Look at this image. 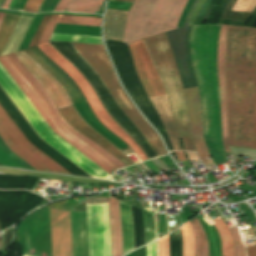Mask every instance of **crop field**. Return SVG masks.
<instances>
[{
  "label": "crop field",
  "mask_w": 256,
  "mask_h": 256,
  "mask_svg": "<svg viewBox=\"0 0 256 256\" xmlns=\"http://www.w3.org/2000/svg\"><path fill=\"white\" fill-rule=\"evenodd\" d=\"M10 2H11V0H5L1 8L7 9Z\"/></svg>",
  "instance_id": "obj_37"
},
{
  "label": "crop field",
  "mask_w": 256,
  "mask_h": 256,
  "mask_svg": "<svg viewBox=\"0 0 256 256\" xmlns=\"http://www.w3.org/2000/svg\"><path fill=\"white\" fill-rule=\"evenodd\" d=\"M144 40L168 87L170 101L185 150L194 151L188 127L184 92L167 38L163 33Z\"/></svg>",
  "instance_id": "obj_7"
},
{
  "label": "crop field",
  "mask_w": 256,
  "mask_h": 256,
  "mask_svg": "<svg viewBox=\"0 0 256 256\" xmlns=\"http://www.w3.org/2000/svg\"><path fill=\"white\" fill-rule=\"evenodd\" d=\"M53 256H72L70 212L49 208Z\"/></svg>",
  "instance_id": "obj_13"
},
{
  "label": "crop field",
  "mask_w": 256,
  "mask_h": 256,
  "mask_svg": "<svg viewBox=\"0 0 256 256\" xmlns=\"http://www.w3.org/2000/svg\"><path fill=\"white\" fill-rule=\"evenodd\" d=\"M181 231L183 236L184 256H194L195 241L190 223L181 227Z\"/></svg>",
  "instance_id": "obj_25"
},
{
  "label": "crop field",
  "mask_w": 256,
  "mask_h": 256,
  "mask_svg": "<svg viewBox=\"0 0 256 256\" xmlns=\"http://www.w3.org/2000/svg\"><path fill=\"white\" fill-rule=\"evenodd\" d=\"M133 44H134L135 49L142 61L143 66H144L153 86H154V89L156 92V97L168 95L166 85H165V83H164V81H163L147 47H146L144 40L143 39L139 40ZM133 44H129L128 46L131 50L134 65L138 72L141 83H142L145 91L147 92L149 98L155 97L154 89L148 79V76L141 64V61L134 49ZM150 100L153 103V105H154V107H155V109H156L168 135H169L173 149L174 150H184L183 146H182L181 139H180L179 131L176 127V124H175V121H174V118H173V115L171 112L168 96L153 98Z\"/></svg>",
  "instance_id": "obj_6"
},
{
  "label": "crop field",
  "mask_w": 256,
  "mask_h": 256,
  "mask_svg": "<svg viewBox=\"0 0 256 256\" xmlns=\"http://www.w3.org/2000/svg\"><path fill=\"white\" fill-rule=\"evenodd\" d=\"M175 153L178 156L180 161L187 159L186 156L184 155V152H175Z\"/></svg>",
  "instance_id": "obj_36"
},
{
  "label": "crop field",
  "mask_w": 256,
  "mask_h": 256,
  "mask_svg": "<svg viewBox=\"0 0 256 256\" xmlns=\"http://www.w3.org/2000/svg\"><path fill=\"white\" fill-rule=\"evenodd\" d=\"M128 12L107 9L104 21V36L122 41Z\"/></svg>",
  "instance_id": "obj_17"
},
{
  "label": "crop field",
  "mask_w": 256,
  "mask_h": 256,
  "mask_svg": "<svg viewBox=\"0 0 256 256\" xmlns=\"http://www.w3.org/2000/svg\"><path fill=\"white\" fill-rule=\"evenodd\" d=\"M73 45L87 60V62L95 69V71L98 73V75L101 77V79L109 89L117 104L143 133V135L153 147L157 156L165 154L166 151L161 143L159 136L155 133L151 126L141 117L132 102L129 100L127 95L120 87L104 46L77 43H73Z\"/></svg>",
  "instance_id": "obj_4"
},
{
  "label": "crop field",
  "mask_w": 256,
  "mask_h": 256,
  "mask_svg": "<svg viewBox=\"0 0 256 256\" xmlns=\"http://www.w3.org/2000/svg\"><path fill=\"white\" fill-rule=\"evenodd\" d=\"M158 256H169L168 235L158 240Z\"/></svg>",
  "instance_id": "obj_27"
},
{
  "label": "crop field",
  "mask_w": 256,
  "mask_h": 256,
  "mask_svg": "<svg viewBox=\"0 0 256 256\" xmlns=\"http://www.w3.org/2000/svg\"><path fill=\"white\" fill-rule=\"evenodd\" d=\"M226 83L229 146L256 148V27L228 25Z\"/></svg>",
  "instance_id": "obj_1"
},
{
  "label": "crop field",
  "mask_w": 256,
  "mask_h": 256,
  "mask_svg": "<svg viewBox=\"0 0 256 256\" xmlns=\"http://www.w3.org/2000/svg\"><path fill=\"white\" fill-rule=\"evenodd\" d=\"M0 63L56 134H58L60 137H62L64 140H66L68 143H70L72 146H74L76 149H78L80 152H82L84 155H86L108 173L111 174L113 170L118 168L104 156L95 151L93 148H91L79 138L71 134L59 122V120L53 114L48 102L43 97L42 93L29 80V78L13 63L9 55L0 57Z\"/></svg>",
  "instance_id": "obj_5"
},
{
  "label": "crop field",
  "mask_w": 256,
  "mask_h": 256,
  "mask_svg": "<svg viewBox=\"0 0 256 256\" xmlns=\"http://www.w3.org/2000/svg\"><path fill=\"white\" fill-rule=\"evenodd\" d=\"M188 0H135L128 14L123 41L175 29Z\"/></svg>",
  "instance_id": "obj_2"
},
{
  "label": "crop field",
  "mask_w": 256,
  "mask_h": 256,
  "mask_svg": "<svg viewBox=\"0 0 256 256\" xmlns=\"http://www.w3.org/2000/svg\"><path fill=\"white\" fill-rule=\"evenodd\" d=\"M109 218L112 239V256H122V230L118 201L109 197Z\"/></svg>",
  "instance_id": "obj_19"
},
{
  "label": "crop field",
  "mask_w": 256,
  "mask_h": 256,
  "mask_svg": "<svg viewBox=\"0 0 256 256\" xmlns=\"http://www.w3.org/2000/svg\"><path fill=\"white\" fill-rule=\"evenodd\" d=\"M43 0H28L23 11L37 13Z\"/></svg>",
  "instance_id": "obj_29"
},
{
  "label": "crop field",
  "mask_w": 256,
  "mask_h": 256,
  "mask_svg": "<svg viewBox=\"0 0 256 256\" xmlns=\"http://www.w3.org/2000/svg\"><path fill=\"white\" fill-rule=\"evenodd\" d=\"M4 16H5L4 13H0V24H1V22H2V20H3V18H4Z\"/></svg>",
  "instance_id": "obj_39"
},
{
  "label": "crop field",
  "mask_w": 256,
  "mask_h": 256,
  "mask_svg": "<svg viewBox=\"0 0 256 256\" xmlns=\"http://www.w3.org/2000/svg\"><path fill=\"white\" fill-rule=\"evenodd\" d=\"M26 52L32 56L37 63L45 68L66 90L72 103L85 100L77 85L59 66L44 55L37 46L26 49Z\"/></svg>",
  "instance_id": "obj_14"
},
{
  "label": "crop field",
  "mask_w": 256,
  "mask_h": 256,
  "mask_svg": "<svg viewBox=\"0 0 256 256\" xmlns=\"http://www.w3.org/2000/svg\"><path fill=\"white\" fill-rule=\"evenodd\" d=\"M60 0H52L47 11H53L55 6L57 5V3L59 2Z\"/></svg>",
  "instance_id": "obj_34"
},
{
  "label": "crop field",
  "mask_w": 256,
  "mask_h": 256,
  "mask_svg": "<svg viewBox=\"0 0 256 256\" xmlns=\"http://www.w3.org/2000/svg\"><path fill=\"white\" fill-rule=\"evenodd\" d=\"M0 137L6 145L37 170L70 174L30 144L0 106Z\"/></svg>",
  "instance_id": "obj_11"
},
{
  "label": "crop field",
  "mask_w": 256,
  "mask_h": 256,
  "mask_svg": "<svg viewBox=\"0 0 256 256\" xmlns=\"http://www.w3.org/2000/svg\"><path fill=\"white\" fill-rule=\"evenodd\" d=\"M235 244V256H245V248L238 228L230 229Z\"/></svg>",
  "instance_id": "obj_26"
},
{
  "label": "crop field",
  "mask_w": 256,
  "mask_h": 256,
  "mask_svg": "<svg viewBox=\"0 0 256 256\" xmlns=\"http://www.w3.org/2000/svg\"><path fill=\"white\" fill-rule=\"evenodd\" d=\"M227 25L221 26L219 48H218V66H219V86L222 111V131L223 144L226 152L230 153L227 143V118H226V85H225V44H226Z\"/></svg>",
  "instance_id": "obj_16"
},
{
  "label": "crop field",
  "mask_w": 256,
  "mask_h": 256,
  "mask_svg": "<svg viewBox=\"0 0 256 256\" xmlns=\"http://www.w3.org/2000/svg\"><path fill=\"white\" fill-rule=\"evenodd\" d=\"M113 1H121V2H129V3L133 2V0H113Z\"/></svg>",
  "instance_id": "obj_38"
},
{
  "label": "crop field",
  "mask_w": 256,
  "mask_h": 256,
  "mask_svg": "<svg viewBox=\"0 0 256 256\" xmlns=\"http://www.w3.org/2000/svg\"><path fill=\"white\" fill-rule=\"evenodd\" d=\"M27 0H13L9 9L22 11Z\"/></svg>",
  "instance_id": "obj_30"
},
{
  "label": "crop field",
  "mask_w": 256,
  "mask_h": 256,
  "mask_svg": "<svg viewBox=\"0 0 256 256\" xmlns=\"http://www.w3.org/2000/svg\"><path fill=\"white\" fill-rule=\"evenodd\" d=\"M247 256H256V244L246 247Z\"/></svg>",
  "instance_id": "obj_33"
},
{
  "label": "crop field",
  "mask_w": 256,
  "mask_h": 256,
  "mask_svg": "<svg viewBox=\"0 0 256 256\" xmlns=\"http://www.w3.org/2000/svg\"><path fill=\"white\" fill-rule=\"evenodd\" d=\"M104 0H72L66 11L96 13Z\"/></svg>",
  "instance_id": "obj_20"
},
{
  "label": "crop field",
  "mask_w": 256,
  "mask_h": 256,
  "mask_svg": "<svg viewBox=\"0 0 256 256\" xmlns=\"http://www.w3.org/2000/svg\"><path fill=\"white\" fill-rule=\"evenodd\" d=\"M50 1L51 0H44L38 12L45 11Z\"/></svg>",
  "instance_id": "obj_35"
},
{
  "label": "crop field",
  "mask_w": 256,
  "mask_h": 256,
  "mask_svg": "<svg viewBox=\"0 0 256 256\" xmlns=\"http://www.w3.org/2000/svg\"><path fill=\"white\" fill-rule=\"evenodd\" d=\"M0 85L27 118L40 137L92 177L111 179V175L56 135L0 64Z\"/></svg>",
  "instance_id": "obj_3"
},
{
  "label": "crop field",
  "mask_w": 256,
  "mask_h": 256,
  "mask_svg": "<svg viewBox=\"0 0 256 256\" xmlns=\"http://www.w3.org/2000/svg\"><path fill=\"white\" fill-rule=\"evenodd\" d=\"M10 57L12 58V60L14 61V63L37 85V87L41 90V92L43 93L44 97L47 99V101L49 102L50 106L52 107L54 113L56 114L57 118L60 120V122L74 135H76L77 137H79L81 140H83L84 142H86L88 145H90L91 147H93L95 150H97L98 152H100L102 155H104L106 158H108L110 161H112L116 166H118L119 168H122L126 165H124L122 162H120L119 160H117L114 156H112L110 153H108L107 151H105L104 149H102L101 147H99L97 144H95L94 142H92L91 140H89L88 138L84 137L82 134H80L79 132H77L73 127H71L63 118V116L60 114V112L58 111V109L56 108V106L54 105L52 99L50 98V96L48 95L47 91L42 87V85L30 74V72L19 62V60L16 58V56L14 55V53L9 54Z\"/></svg>",
  "instance_id": "obj_15"
},
{
  "label": "crop field",
  "mask_w": 256,
  "mask_h": 256,
  "mask_svg": "<svg viewBox=\"0 0 256 256\" xmlns=\"http://www.w3.org/2000/svg\"><path fill=\"white\" fill-rule=\"evenodd\" d=\"M147 256H157V240L146 245Z\"/></svg>",
  "instance_id": "obj_31"
},
{
  "label": "crop field",
  "mask_w": 256,
  "mask_h": 256,
  "mask_svg": "<svg viewBox=\"0 0 256 256\" xmlns=\"http://www.w3.org/2000/svg\"><path fill=\"white\" fill-rule=\"evenodd\" d=\"M20 62L31 72V74L44 86L49 95L55 102L58 109L71 105V102L60 84L40 67L24 50L15 52ZM66 121L72 125L80 133L96 142L102 148L110 152L116 158L125 164H133V162L115 148L109 141L105 140L98 133L92 130L77 114L73 106L59 110Z\"/></svg>",
  "instance_id": "obj_8"
},
{
  "label": "crop field",
  "mask_w": 256,
  "mask_h": 256,
  "mask_svg": "<svg viewBox=\"0 0 256 256\" xmlns=\"http://www.w3.org/2000/svg\"><path fill=\"white\" fill-rule=\"evenodd\" d=\"M191 225H192V228L195 234V239H196L195 256H209L206 236L198 219L195 220L193 223H191Z\"/></svg>",
  "instance_id": "obj_21"
},
{
  "label": "crop field",
  "mask_w": 256,
  "mask_h": 256,
  "mask_svg": "<svg viewBox=\"0 0 256 256\" xmlns=\"http://www.w3.org/2000/svg\"><path fill=\"white\" fill-rule=\"evenodd\" d=\"M215 227L217 228L222 241V256H234V244L226 224L224 222L218 223L215 224Z\"/></svg>",
  "instance_id": "obj_22"
},
{
  "label": "crop field",
  "mask_w": 256,
  "mask_h": 256,
  "mask_svg": "<svg viewBox=\"0 0 256 256\" xmlns=\"http://www.w3.org/2000/svg\"><path fill=\"white\" fill-rule=\"evenodd\" d=\"M70 1H71V0H61V1L58 3V5H57L55 11H64L65 8H66V7L68 6V4L70 3Z\"/></svg>",
  "instance_id": "obj_32"
},
{
  "label": "crop field",
  "mask_w": 256,
  "mask_h": 256,
  "mask_svg": "<svg viewBox=\"0 0 256 256\" xmlns=\"http://www.w3.org/2000/svg\"><path fill=\"white\" fill-rule=\"evenodd\" d=\"M50 40L103 44L101 37L53 33Z\"/></svg>",
  "instance_id": "obj_23"
},
{
  "label": "crop field",
  "mask_w": 256,
  "mask_h": 256,
  "mask_svg": "<svg viewBox=\"0 0 256 256\" xmlns=\"http://www.w3.org/2000/svg\"><path fill=\"white\" fill-rule=\"evenodd\" d=\"M19 16L17 15H12V14H6L3 23L0 27V53L15 25L17 22Z\"/></svg>",
  "instance_id": "obj_24"
},
{
  "label": "crop field",
  "mask_w": 256,
  "mask_h": 256,
  "mask_svg": "<svg viewBox=\"0 0 256 256\" xmlns=\"http://www.w3.org/2000/svg\"><path fill=\"white\" fill-rule=\"evenodd\" d=\"M39 49L45 53L50 59L64 69L77 83L84 96L88 100L94 114L98 119L105 124L110 130L117 134L122 140H124L140 157L141 161L147 160L146 155L141 148L115 123L110 116L106 113L105 109L101 105L97 95L92 90L91 86L62 55H60L48 42L39 45ZM104 125V126H105ZM111 131V132H112Z\"/></svg>",
  "instance_id": "obj_10"
},
{
  "label": "crop field",
  "mask_w": 256,
  "mask_h": 256,
  "mask_svg": "<svg viewBox=\"0 0 256 256\" xmlns=\"http://www.w3.org/2000/svg\"><path fill=\"white\" fill-rule=\"evenodd\" d=\"M101 18L52 15L39 41V44L50 39L51 33L57 23L100 26Z\"/></svg>",
  "instance_id": "obj_18"
},
{
  "label": "crop field",
  "mask_w": 256,
  "mask_h": 256,
  "mask_svg": "<svg viewBox=\"0 0 256 256\" xmlns=\"http://www.w3.org/2000/svg\"><path fill=\"white\" fill-rule=\"evenodd\" d=\"M49 17H50V15H45L44 16V18H43V20H42V22H41V24H40L36 34L34 35L32 41H31V43L29 45V47L37 45V43H38V41H39V39H40V37L42 35V32H43V30H44V28L46 26V23H47Z\"/></svg>",
  "instance_id": "obj_28"
},
{
  "label": "crop field",
  "mask_w": 256,
  "mask_h": 256,
  "mask_svg": "<svg viewBox=\"0 0 256 256\" xmlns=\"http://www.w3.org/2000/svg\"><path fill=\"white\" fill-rule=\"evenodd\" d=\"M91 256H110L107 203L86 204Z\"/></svg>",
  "instance_id": "obj_12"
},
{
  "label": "crop field",
  "mask_w": 256,
  "mask_h": 256,
  "mask_svg": "<svg viewBox=\"0 0 256 256\" xmlns=\"http://www.w3.org/2000/svg\"><path fill=\"white\" fill-rule=\"evenodd\" d=\"M183 28L175 29L170 32H166V36L170 43L171 49L174 54V58L177 63L178 72L180 74L181 82L184 88H188L183 55H182V43H181V33ZM186 98L189 108V119L191 135L194 141V145L199 158L203 161L207 168L212 169L209 164L213 161L208 153L206 144L202 136V116H201V106L198 88L185 89ZM208 157L209 159H207Z\"/></svg>",
  "instance_id": "obj_9"
}]
</instances>
